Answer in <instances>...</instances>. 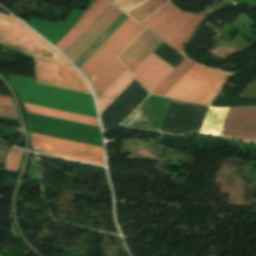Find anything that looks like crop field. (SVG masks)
Listing matches in <instances>:
<instances>
[{
    "label": "crop field",
    "mask_w": 256,
    "mask_h": 256,
    "mask_svg": "<svg viewBox=\"0 0 256 256\" xmlns=\"http://www.w3.org/2000/svg\"><path fill=\"white\" fill-rule=\"evenodd\" d=\"M205 19L182 12L171 2L141 24L182 53L185 44Z\"/></svg>",
    "instance_id": "8a807250"
},
{
    "label": "crop field",
    "mask_w": 256,
    "mask_h": 256,
    "mask_svg": "<svg viewBox=\"0 0 256 256\" xmlns=\"http://www.w3.org/2000/svg\"><path fill=\"white\" fill-rule=\"evenodd\" d=\"M0 44L33 58L69 64L29 28L3 14H0Z\"/></svg>",
    "instance_id": "ac0d7876"
},
{
    "label": "crop field",
    "mask_w": 256,
    "mask_h": 256,
    "mask_svg": "<svg viewBox=\"0 0 256 256\" xmlns=\"http://www.w3.org/2000/svg\"><path fill=\"white\" fill-rule=\"evenodd\" d=\"M227 77L226 73L195 64L165 96L209 105Z\"/></svg>",
    "instance_id": "34b2d1b8"
},
{
    "label": "crop field",
    "mask_w": 256,
    "mask_h": 256,
    "mask_svg": "<svg viewBox=\"0 0 256 256\" xmlns=\"http://www.w3.org/2000/svg\"><path fill=\"white\" fill-rule=\"evenodd\" d=\"M144 30L129 17L80 67L90 84L117 58V56Z\"/></svg>",
    "instance_id": "412701ff"
},
{
    "label": "crop field",
    "mask_w": 256,
    "mask_h": 256,
    "mask_svg": "<svg viewBox=\"0 0 256 256\" xmlns=\"http://www.w3.org/2000/svg\"><path fill=\"white\" fill-rule=\"evenodd\" d=\"M31 147L48 154L104 165V150L101 147L32 134Z\"/></svg>",
    "instance_id": "f4fd0767"
},
{
    "label": "crop field",
    "mask_w": 256,
    "mask_h": 256,
    "mask_svg": "<svg viewBox=\"0 0 256 256\" xmlns=\"http://www.w3.org/2000/svg\"><path fill=\"white\" fill-rule=\"evenodd\" d=\"M35 64L38 82L90 93L72 66L37 59Z\"/></svg>",
    "instance_id": "dd49c442"
},
{
    "label": "crop field",
    "mask_w": 256,
    "mask_h": 256,
    "mask_svg": "<svg viewBox=\"0 0 256 256\" xmlns=\"http://www.w3.org/2000/svg\"><path fill=\"white\" fill-rule=\"evenodd\" d=\"M169 100L149 95L121 125L158 131Z\"/></svg>",
    "instance_id": "e52e79f7"
},
{
    "label": "crop field",
    "mask_w": 256,
    "mask_h": 256,
    "mask_svg": "<svg viewBox=\"0 0 256 256\" xmlns=\"http://www.w3.org/2000/svg\"><path fill=\"white\" fill-rule=\"evenodd\" d=\"M219 136L256 143V108H230Z\"/></svg>",
    "instance_id": "d8731c3e"
},
{
    "label": "crop field",
    "mask_w": 256,
    "mask_h": 256,
    "mask_svg": "<svg viewBox=\"0 0 256 256\" xmlns=\"http://www.w3.org/2000/svg\"><path fill=\"white\" fill-rule=\"evenodd\" d=\"M121 13L111 5L64 54L74 63Z\"/></svg>",
    "instance_id": "5a996713"
},
{
    "label": "crop field",
    "mask_w": 256,
    "mask_h": 256,
    "mask_svg": "<svg viewBox=\"0 0 256 256\" xmlns=\"http://www.w3.org/2000/svg\"><path fill=\"white\" fill-rule=\"evenodd\" d=\"M173 69L151 53L132 73L152 93Z\"/></svg>",
    "instance_id": "3316defc"
},
{
    "label": "crop field",
    "mask_w": 256,
    "mask_h": 256,
    "mask_svg": "<svg viewBox=\"0 0 256 256\" xmlns=\"http://www.w3.org/2000/svg\"><path fill=\"white\" fill-rule=\"evenodd\" d=\"M161 41L145 30L119 59L132 72Z\"/></svg>",
    "instance_id": "28ad6ade"
},
{
    "label": "crop field",
    "mask_w": 256,
    "mask_h": 256,
    "mask_svg": "<svg viewBox=\"0 0 256 256\" xmlns=\"http://www.w3.org/2000/svg\"><path fill=\"white\" fill-rule=\"evenodd\" d=\"M110 5L105 0H96L79 22L55 46L64 53Z\"/></svg>",
    "instance_id": "d1516ede"
},
{
    "label": "crop field",
    "mask_w": 256,
    "mask_h": 256,
    "mask_svg": "<svg viewBox=\"0 0 256 256\" xmlns=\"http://www.w3.org/2000/svg\"><path fill=\"white\" fill-rule=\"evenodd\" d=\"M135 78L126 69L112 85L97 99L99 113H101Z\"/></svg>",
    "instance_id": "22f410ed"
},
{
    "label": "crop field",
    "mask_w": 256,
    "mask_h": 256,
    "mask_svg": "<svg viewBox=\"0 0 256 256\" xmlns=\"http://www.w3.org/2000/svg\"><path fill=\"white\" fill-rule=\"evenodd\" d=\"M26 110L33 113H38L42 115L52 116L56 118H61L65 120H70L74 122L84 123L88 125H93L99 127L98 120L95 118H90L86 116L76 115L72 113L62 112L58 110L48 109L44 107L34 106L30 104H25Z\"/></svg>",
    "instance_id": "cbeb9de0"
},
{
    "label": "crop field",
    "mask_w": 256,
    "mask_h": 256,
    "mask_svg": "<svg viewBox=\"0 0 256 256\" xmlns=\"http://www.w3.org/2000/svg\"><path fill=\"white\" fill-rule=\"evenodd\" d=\"M229 108H209L200 134L219 135Z\"/></svg>",
    "instance_id": "5142ce71"
},
{
    "label": "crop field",
    "mask_w": 256,
    "mask_h": 256,
    "mask_svg": "<svg viewBox=\"0 0 256 256\" xmlns=\"http://www.w3.org/2000/svg\"><path fill=\"white\" fill-rule=\"evenodd\" d=\"M126 68L116 60L93 84L97 97H99L108 86L125 70Z\"/></svg>",
    "instance_id": "d9b57169"
},
{
    "label": "crop field",
    "mask_w": 256,
    "mask_h": 256,
    "mask_svg": "<svg viewBox=\"0 0 256 256\" xmlns=\"http://www.w3.org/2000/svg\"><path fill=\"white\" fill-rule=\"evenodd\" d=\"M193 65L185 58L153 93L164 96Z\"/></svg>",
    "instance_id": "733c2abd"
},
{
    "label": "crop field",
    "mask_w": 256,
    "mask_h": 256,
    "mask_svg": "<svg viewBox=\"0 0 256 256\" xmlns=\"http://www.w3.org/2000/svg\"><path fill=\"white\" fill-rule=\"evenodd\" d=\"M171 2L170 0H147L143 4H141L139 7L131 11L129 14L130 17H132L137 22H142L146 18H148L150 15L164 7L166 4Z\"/></svg>",
    "instance_id": "4a817a6b"
},
{
    "label": "crop field",
    "mask_w": 256,
    "mask_h": 256,
    "mask_svg": "<svg viewBox=\"0 0 256 256\" xmlns=\"http://www.w3.org/2000/svg\"><path fill=\"white\" fill-rule=\"evenodd\" d=\"M127 17L122 13L74 64L79 67Z\"/></svg>",
    "instance_id": "bc2a9ffb"
},
{
    "label": "crop field",
    "mask_w": 256,
    "mask_h": 256,
    "mask_svg": "<svg viewBox=\"0 0 256 256\" xmlns=\"http://www.w3.org/2000/svg\"><path fill=\"white\" fill-rule=\"evenodd\" d=\"M28 128L30 131L38 132L41 134L103 147L102 142H100V141H95V140H91V139L81 138V137H77V136L67 135V134H63V133L53 132V131L39 129V128H35V127H30V126H28Z\"/></svg>",
    "instance_id": "214f88e0"
},
{
    "label": "crop field",
    "mask_w": 256,
    "mask_h": 256,
    "mask_svg": "<svg viewBox=\"0 0 256 256\" xmlns=\"http://www.w3.org/2000/svg\"><path fill=\"white\" fill-rule=\"evenodd\" d=\"M22 154L23 151L12 148L7 157L5 170L17 172Z\"/></svg>",
    "instance_id": "92a150f3"
},
{
    "label": "crop field",
    "mask_w": 256,
    "mask_h": 256,
    "mask_svg": "<svg viewBox=\"0 0 256 256\" xmlns=\"http://www.w3.org/2000/svg\"><path fill=\"white\" fill-rule=\"evenodd\" d=\"M108 1L127 14L131 10H133L135 7L140 5L142 2H144L145 0H108Z\"/></svg>",
    "instance_id": "dafd665d"
},
{
    "label": "crop field",
    "mask_w": 256,
    "mask_h": 256,
    "mask_svg": "<svg viewBox=\"0 0 256 256\" xmlns=\"http://www.w3.org/2000/svg\"><path fill=\"white\" fill-rule=\"evenodd\" d=\"M0 114L17 118L13 105L0 103Z\"/></svg>",
    "instance_id": "00972430"
},
{
    "label": "crop field",
    "mask_w": 256,
    "mask_h": 256,
    "mask_svg": "<svg viewBox=\"0 0 256 256\" xmlns=\"http://www.w3.org/2000/svg\"><path fill=\"white\" fill-rule=\"evenodd\" d=\"M0 102L13 104L12 100H11V97H7V96H0Z\"/></svg>",
    "instance_id": "a9b5d70f"
},
{
    "label": "crop field",
    "mask_w": 256,
    "mask_h": 256,
    "mask_svg": "<svg viewBox=\"0 0 256 256\" xmlns=\"http://www.w3.org/2000/svg\"><path fill=\"white\" fill-rule=\"evenodd\" d=\"M0 149L8 150V149H9V147H7V146H5V145H3V144H1V143H0Z\"/></svg>",
    "instance_id": "4177f3b9"
}]
</instances>
